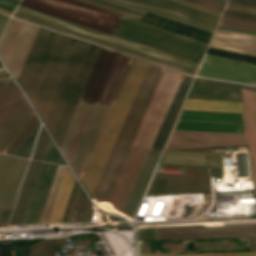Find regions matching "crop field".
Masks as SVG:
<instances>
[{
  "label": "crop field",
  "instance_id": "obj_1",
  "mask_svg": "<svg viewBox=\"0 0 256 256\" xmlns=\"http://www.w3.org/2000/svg\"><path fill=\"white\" fill-rule=\"evenodd\" d=\"M117 54L118 53L116 52L104 48L102 49L60 146L63 154L70 164ZM132 59V57L120 53L116 58L111 73L71 164L79 180ZM148 64V62L134 58L127 72L81 179L84 188L90 196H92ZM106 139H108V141H106Z\"/></svg>",
  "mask_w": 256,
  "mask_h": 256
},
{
  "label": "crop field",
  "instance_id": "obj_2",
  "mask_svg": "<svg viewBox=\"0 0 256 256\" xmlns=\"http://www.w3.org/2000/svg\"><path fill=\"white\" fill-rule=\"evenodd\" d=\"M74 38L38 28L17 78L42 117ZM101 47L75 40L42 117L60 146Z\"/></svg>",
  "mask_w": 256,
  "mask_h": 256
},
{
  "label": "crop field",
  "instance_id": "obj_3",
  "mask_svg": "<svg viewBox=\"0 0 256 256\" xmlns=\"http://www.w3.org/2000/svg\"><path fill=\"white\" fill-rule=\"evenodd\" d=\"M13 16L191 74H195L200 64L193 60L116 37L21 5H19Z\"/></svg>",
  "mask_w": 256,
  "mask_h": 256
},
{
  "label": "crop field",
  "instance_id": "obj_4",
  "mask_svg": "<svg viewBox=\"0 0 256 256\" xmlns=\"http://www.w3.org/2000/svg\"><path fill=\"white\" fill-rule=\"evenodd\" d=\"M174 130L246 134L244 114L182 110ZM173 131L165 149L248 144L246 135Z\"/></svg>",
  "mask_w": 256,
  "mask_h": 256
},
{
  "label": "crop field",
  "instance_id": "obj_5",
  "mask_svg": "<svg viewBox=\"0 0 256 256\" xmlns=\"http://www.w3.org/2000/svg\"><path fill=\"white\" fill-rule=\"evenodd\" d=\"M180 72L164 69L149 107L108 200L113 209L121 212L151 140L165 111Z\"/></svg>",
  "mask_w": 256,
  "mask_h": 256
},
{
  "label": "crop field",
  "instance_id": "obj_6",
  "mask_svg": "<svg viewBox=\"0 0 256 256\" xmlns=\"http://www.w3.org/2000/svg\"><path fill=\"white\" fill-rule=\"evenodd\" d=\"M161 66L149 64L123 127L92 197L107 201L161 76Z\"/></svg>",
  "mask_w": 256,
  "mask_h": 256
},
{
  "label": "crop field",
  "instance_id": "obj_7",
  "mask_svg": "<svg viewBox=\"0 0 256 256\" xmlns=\"http://www.w3.org/2000/svg\"><path fill=\"white\" fill-rule=\"evenodd\" d=\"M193 77L181 74L160 125L156 131L136 181L127 199L123 213L134 217L161 150L182 106Z\"/></svg>",
  "mask_w": 256,
  "mask_h": 256
},
{
  "label": "crop field",
  "instance_id": "obj_8",
  "mask_svg": "<svg viewBox=\"0 0 256 256\" xmlns=\"http://www.w3.org/2000/svg\"><path fill=\"white\" fill-rule=\"evenodd\" d=\"M110 33L201 61L207 43L121 16Z\"/></svg>",
  "mask_w": 256,
  "mask_h": 256
},
{
  "label": "crop field",
  "instance_id": "obj_9",
  "mask_svg": "<svg viewBox=\"0 0 256 256\" xmlns=\"http://www.w3.org/2000/svg\"><path fill=\"white\" fill-rule=\"evenodd\" d=\"M21 5L108 33L120 17L74 0H22Z\"/></svg>",
  "mask_w": 256,
  "mask_h": 256
},
{
  "label": "crop field",
  "instance_id": "obj_10",
  "mask_svg": "<svg viewBox=\"0 0 256 256\" xmlns=\"http://www.w3.org/2000/svg\"><path fill=\"white\" fill-rule=\"evenodd\" d=\"M37 26L11 18L0 43V57L17 78Z\"/></svg>",
  "mask_w": 256,
  "mask_h": 256
},
{
  "label": "crop field",
  "instance_id": "obj_11",
  "mask_svg": "<svg viewBox=\"0 0 256 256\" xmlns=\"http://www.w3.org/2000/svg\"><path fill=\"white\" fill-rule=\"evenodd\" d=\"M197 76L256 85V66L206 54Z\"/></svg>",
  "mask_w": 256,
  "mask_h": 256
},
{
  "label": "crop field",
  "instance_id": "obj_12",
  "mask_svg": "<svg viewBox=\"0 0 256 256\" xmlns=\"http://www.w3.org/2000/svg\"><path fill=\"white\" fill-rule=\"evenodd\" d=\"M256 237V225L216 226L200 229L196 226L157 228L156 239ZM256 252V238H253Z\"/></svg>",
  "mask_w": 256,
  "mask_h": 256
},
{
  "label": "crop field",
  "instance_id": "obj_13",
  "mask_svg": "<svg viewBox=\"0 0 256 256\" xmlns=\"http://www.w3.org/2000/svg\"><path fill=\"white\" fill-rule=\"evenodd\" d=\"M28 159L0 154V202L14 204ZM0 203L12 208L11 204Z\"/></svg>",
  "mask_w": 256,
  "mask_h": 256
},
{
  "label": "crop field",
  "instance_id": "obj_14",
  "mask_svg": "<svg viewBox=\"0 0 256 256\" xmlns=\"http://www.w3.org/2000/svg\"><path fill=\"white\" fill-rule=\"evenodd\" d=\"M56 164L42 163L24 220L22 224L38 223L56 169Z\"/></svg>",
  "mask_w": 256,
  "mask_h": 256
},
{
  "label": "crop field",
  "instance_id": "obj_15",
  "mask_svg": "<svg viewBox=\"0 0 256 256\" xmlns=\"http://www.w3.org/2000/svg\"><path fill=\"white\" fill-rule=\"evenodd\" d=\"M33 114L22 94L0 124V152L8 149Z\"/></svg>",
  "mask_w": 256,
  "mask_h": 256
},
{
  "label": "crop field",
  "instance_id": "obj_16",
  "mask_svg": "<svg viewBox=\"0 0 256 256\" xmlns=\"http://www.w3.org/2000/svg\"><path fill=\"white\" fill-rule=\"evenodd\" d=\"M187 98L242 101L239 84L196 78Z\"/></svg>",
  "mask_w": 256,
  "mask_h": 256
},
{
  "label": "crop field",
  "instance_id": "obj_17",
  "mask_svg": "<svg viewBox=\"0 0 256 256\" xmlns=\"http://www.w3.org/2000/svg\"><path fill=\"white\" fill-rule=\"evenodd\" d=\"M209 47L256 56V35L217 29Z\"/></svg>",
  "mask_w": 256,
  "mask_h": 256
},
{
  "label": "crop field",
  "instance_id": "obj_18",
  "mask_svg": "<svg viewBox=\"0 0 256 256\" xmlns=\"http://www.w3.org/2000/svg\"><path fill=\"white\" fill-rule=\"evenodd\" d=\"M174 14H178L211 26H216L219 16L203 12L169 0H135Z\"/></svg>",
  "mask_w": 256,
  "mask_h": 256
},
{
  "label": "crop field",
  "instance_id": "obj_19",
  "mask_svg": "<svg viewBox=\"0 0 256 256\" xmlns=\"http://www.w3.org/2000/svg\"><path fill=\"white\" fill-rule=\"evenodd\" d=\"M41 163L42 162L40 161L31 160L15 209L13 211V214L9 223L10 225H16V224L22 223Z\"/></svg>",
  "mask_w": 256,
  "mask_h": 256
},
{
  "label": "crop field",
  "instance_id": "obj_20",
  "mask_svg": "<svg viewBox=\"0 0 256 256\" xmlns=\"http://www.w3.org/2000/svg\"><path fill=\"white\" fill-rule=\"evenodd\" d=\"M183 109L244 113L242 102L187 99Z\"/></svg>",
  "mask_w": 256,
  "mask_h": 256
},
{
  "label": "crop field",
  "instance_id": "obj_21",
  "mask_svg": "<svg viewBox=\"0 0 256 256\" xmlns=\"http://www.w3.org/2000/svg\"><path fill=\"white\" fill-rule=\"evenodd\" d=\"M74 181L75 179L72 173L70 172L69 168H66L48 223L62 221Z\"/></svg>",
  "mask_w": 256,
  "mask_h": 256
},
{
  "label": "crop field",
  "instance_id": "obj_22",
  "mask_svg": "<svg viewBox=\"0 0 256 256\" xmlns=\"http://www.w3.org/2000/svg\"><path fill=\"white\" fill-rule=\"evenodd\" d=\"M160 163L207 167L206 153L165 150Z\"/></svg>",
  "mask_w": 256,
  "mask_h": 256
},
{
  "label": "crop field",
  "instance_id": "obj_23",
  "mask_svg": "<svg viewBox=\"0 0 256 256\" xmlns=\"http://www.w3.org/2000/svg\"><path fill=\"white\" fill-rule=\"evenodd\" d=\"M92 205L85 196L84 192L78 186L76 196L70 211L67 222L88 221Z\"/></svg>",
  "mask_w": 256,
  "mask_h": 256
},
{
  "label": "crop field",
  "instance_id": "obj_24",
  "mask_svg": "<svg viewBox=\"0 0 256 256\" xmlns=\"http://www.w3.org/2000/svg\"><path fill=\"white\" fill-rule=\"evenodd\" d=\"M65 168L66 167H64V166H60V165L58 166V169H57V172H56V175H55V178H54V181H53V184H52L50 193L48 195V198H47V201H46V204H45V207H44V210H43V213H42L39 223H47L48 222V219H49V216H50V213H51V210H52V207H53V204H54L64 171H65Z\"/></svg>",
  "mask_w": 256,
  "mask_h": 256
},
{
  "label": "crop field",
  "instance_id": "obj_25",
  "mask_svg": "<svg viewBox=\"0 0 256 256\" xmlns=\"http://www.w3.org/2000/svg\"><path fill=\"white\" fill-rule=\"evenodd\" d=\"M21 92L10 85H6L0 93V122L21 96Z\"/></svg>",
  "mask_w": 256,
  "mask_h": 256
},
{
  "label": "crop field",
  "instance_id": "obj_26",
  "mask_svg": "<svg viewBox=\"0 0 256 256\" xmlns=\"http://www.w3.org/2000/svg\"><path fill=\"white\" fill-rule=\"evenodd\" d=\"M67 245L66 238L45 240L40 244L29 247L30 256H55L54 246Z\"/></svg>",
  "mask_w": 256,
  "mask_h": 256
},
{
  "label": "crop field",
  "instance_id": "obj_27",
  "mask_svg": "<svg viewBox=\"0 0 256 256\" xmlns=\"http://www.w3.org/2000/svg\"><path fill=\"white\" fill-rule=\"evenodd\" d=\"M101 1H104V2L113 4V5L128 9V10H131V11L143 14V15L145 14L146 11H148V12H151V13H154V14H157V15H160V16H163V17H166V18H169V19H172V20H175V21H178V22H181V23H184V24H187V25H190V26H193V27H196V28H199V29H202V30L213 33V30H210V29L198 26V25H194V24H191V23H188V22H185V21L167 16V15H164V14H160V13H157V12H154V11H151V10H148V9H145V8H142V7L130 4V3L120 1V0H101Z\"/></svg>",
  "mask_w": 256,
  "mask_h": 256
},
{
  "label": "crop field",
  "instance_id": "obj_28",
  "mask_svg": "<svg viewBox=\"0 0 256 256\" xmlns=\"http://www.w3.org/2000/svg\"><path fill=\"white\" fill-rule=\"evenodd\" d=\"M78 1H81V2L90 4V5H93V6H96V7H99V8L117 13V14H120V15L129 17V18H132V19H135V20L140 21V19L142 17L139 14L129 12V11H126V10H123V9H120V8H117V7H114V6H111V5H107V4H104V3H101V2H98V1H95V0H78Z\"/></svg>",
  "mask_w": 256,
  "mask_h": 256
},
{
  "label": "crop field",
  "instance_id": "obj_29",
  "mask_svg": "<svg viewBox=\"0 0 256 256\" xmlns=\"http://www.w3.org/2000/svg\"><path fill=\"white\" fill-rule=\"evenodd\" d=\"M39 125H40V123L38 121V123L35 125V127L32 129V131L29 133L27 138L24 140V142L21 144V146L15 152L16 155H21V156H25V157L30 156Z\"/></svg>",
  "mask_w": 256,
  "mask_h": 256
},
{
  "label": "crop field",
  "instance_id": "obj_30",
  "mask_svg": "<svg viewBox=\"0 0 256 256\" xmlns=\"http://www.w3.org/2000/svg\"><path fill=\"white\" fill-rule=\"evenodd\" d=\"M49 140L50 138L42 126L32 158L41 160L44 159Z\"/></svg>",
  "mask_w": 256,
  "mask_h": 256
},
{
  "label": "crop field",
  "instance_id": "obj_31",
  "mask_svg": "<svg viewBox=\"0 0 256 256\" xmlns=\"http://www.w3.org/2000/svg\"><path fill=\"white\" fill-rule=\"evenodd\" d=\"M219 25L256 31V23L222 18Z\"/></svg>",
  "mask_w": 256,
  "mask_h": 256
},
{
  "label": "crop field",
  "instance_id": "obj_32",
  "mask_svg": "<svg viewBox=\"0 0 256 256\" xmlns=\"http://www.w3.org/2000/svg\"><path fill=\"white\" fill-rule=\"evenodd\" d=\"M198 5H202L217 11H222L225 2L219 1V0H186Z\"/></svg>",
  "mask_w": 256,
  "mask_h": 256
},
{
  "label": "crop field",
  "instance_id": "obj_33",
  "mask_svg": "<svg viewBox=\"0 0 256 256\" xmlns=\"http://www.w3.org/2000/svg\"><path fill=\"white\" fill-rule=\"evenodd\" d=\"M222 17L256 22V15L225 10Z\"/></svg>",
  "mask_w": 256,
  "mask_h": 256
},
{
  "label": "crop field",
  "instance_id": "obj_34",
  "mask_svg": "<svg viewBox=\"0 0 256 256\" xmlns=\"http://www.w3.org/2000/svg\"><path fill=\"white\" fill-rule=\"evenodd\" d=\"M123 1H127V2H130V3L136 4V5H139V6H142V7H145V8H148V9H151V10H154V11H157V12H160V13H164V14H167V15H170V16H173V17H176V18H179V19H182V20H185V21L194 23V24H198V25H201V26H204V27L213 29V30L215 29L214 27H211V26H208V25H205V24L196 22V21H192V20H189V19H186V18L177 16V15H174V14H171V13H168V12H165V11H162V10H159V9H156V8H153V7H149V6H146V5H143V4H140V3H137V2L131 1V0H123Z\"/></svg>",
  "mask_w": 256,
  "mask_h": 256
},
{
  "label": "crop field",
  "instance_id": "obj_35",
  "mask_svg": "<svg viewBox=\"0 0 256 256\" xmlns=\"http://www.w3.org/2000/svg\"><path fill=\"white\" fill-rule=\"evenodd\" d=\"M60 158H61V156H60L59 152L57 151L53 142L50 140L48 150H47L44 160L58 163Z\"/></svg>",
  "mask_w": 256,
  "mask_h": 256
},
{
  "label": "crop field",
  "instance_id": "obj_36",
  "mask_svg": "<svg viewBox=\"0 0 256 256\" xmlns=\"http://www.w3.org/2000/svg\"><path fill=\"white\" fill-rule=\"evenodd\" d=\"M155 256H256V253L191 254V255H155Z\"/></svg>",
  "mask_w": 256,
  "mask_h": 256
},
{
  "label": "crop field",
  "instance_id": "obj_37",
  "mask_svg": "<svg viewBox=\"0 0 256 256\" xmlns=\"http://www.w3.org/2000/svg\"><path fill=\"white\" fill-rule=\"evenodd\" d=\"M225 9L256 14V7L244 5L228 3Z\"/></svg>",
  "mask_w": 256,
  "mask_h": 256
},
{
  "label": "crop field",
  "instance_id": "obj_38",
  "mask_svg": "<svg viewBox=\"0 0 256 256\" xmlns=\"http://www.w3.org/2000/svg\"><path fill=\"white\" fill-rule=\"evenodd\" d=\"M173 1H176V2H179V3H182V4H185V5H188V6H191V7L200 9V10H203V11H207V12H210V13H213V14H216V15H219V16H220V14H221L220 12H217V11H214V10H211V9H208V8H205V7H202V6H198V5H195V4H192V3H189V2L183 1V0H173Z\"/></svg>",
  "mask_w": 256,
  "mask_h": 256
},
{
  "label": "crop field",
  "instance_id": "obj_39",
  "mask_svg": "<svg viewBox=\"0 0 256 256\" xmlns=\"http://www.w3.org/2000/svg\"><path fill=\"white\" fill-rule=\"evenodd\" d=\"M228 2L256 6V0H229Z\"/></svg>",
  "mask_w": 256,
  "mask_h": 256
},
{
  "label": "crop field",
  "instance_id": "obj_40",
  "mask_svg": "<svg viewBox=\"0 0 256 256\" xmlns=\"http://www.w3.org/2000/svg\"><path fill=\"white\" fill-rule=\"evenodd\" d=\"M7 19H8V17L0 15V36H1V33L4 29V26L6 24Z\"/></svg>",
  "mask_w": 256,
  "mask_h": 256
},
{
  "label": "crop field",
  "instance_id": "obj_41",
  "mask_svg": "<svg viewBox=\"0 0 256 256\" xmlns=\"http://www.w3.org/2000/svg\"><path fill=\"white\" fill-rule=\"evenodd\" d=\"M217 28L256 34V32H253V31H247V30H240V29L227 28V27H221V26H218Z\"/></svg>",
  "mask_w": 256,
  "mask_h": 256
},
{
  "label": "crop field",
  "instance_id": "obj_42",
  "mask_svg": "<svg viewBox=\"0 0 256 256\" xmlns=\"http://www.w3.org/2000/svg\"><path fill=\"white\" fill-rule=\"evenodd\" d=\"M11 212H7V211H3L0 217V220H5L8 221L9 220V216H10Z\"/></svg>",
  "mask_w": 256,
  "mask_h": 256
},
{
  "label": "crop field",
  "instance_id": "obj_43",
  "mask_svg": "<svg viewBox=\"0 0 256 256\" xmlns=\"http://www.w3.org/2000/svg\"><path fill=\"white\" fill-rule=\"evenodd\" d=\"M0 4L7 5V6H10L13 8H15V6H16V4H13V3H10V2L4 1V0H0Z\"/></svg>",
  "mask_w": 256,
  "mask_h": 256
},
{
  "label": "crop field",
  "instance_id": "obj_44",
  "mask_svg": "<svg viewBox=\"0 0 256 256\" xmlns=\"http://www.w3.org/2000/svg\"><path fill=\"white\" fill-rule=\"evenodd\" d=\"M0 13H4V14H7V15H11V12H8V11H5V10H1V9H0Z\"/></svg>",
  "mask_w": 256,
  "mask_h": 256
},
{
  "label": "crop field",
  "instance_id": "obj_45",
  "mask_svg": "<svg viewBox=\"0 0 256 256\" xmlns=\"http://www.w3.org/2000/svg\"><path fill=\"white\" fill-rule=\"evenodd\" d=\"M242 87H245V88H249V89H253V90H256V87L245 86V85H242Z\"/></svg>",
  "mask_w": 256,
  "mask_h": 256
},
{
  "label": "crop field",
  "instance_id": "obj_46",
  "mask_svg": "<svg viewBox=\"0 0 256 256\" xmlns=\"http://www.w3.org/2000/svg\"><path fill=\"white\" fill-rule=\"evenodd\" d=\"M5 86L4 83H0V91L2 90V88Z\"/></svg>",
  "mask_w": 256,
  "mask_h": 256
},
{
  "label": "crop field",
  "instance_id": "obj_47",
  "mask_svg": "<svg viewBox=\"0 0 256 256\" xmlns=\"http://www.w3.org/2000/svg\"><path fill=\"white\" fill-rule=\"evenodd\" d=\"M254 95H255V103H256V92L254 91Z\"/></svg>",
  "mask_w": 256,
  "mask_h": 256
},
{
  "label": "crop field",
  "instance_id": "obj_48",
  "mask_svg": "<svg viewBox=\"0 0 256 256\" xmlns=\"http://www.w3.org/2000/svg\"><path fill=\"white\" fill-rule=\"evenodd\" d=\"M222 1H225V2H226L227 0H222Z\"/></svg>",
  "mask_w": 256,
  "mask_h": 256
}]
</instances>
